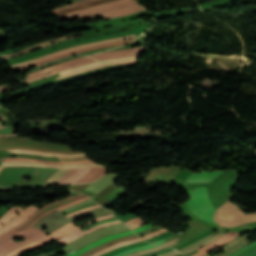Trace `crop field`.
<instances>
[{"instance_id":"1","label":"crop field","mask_w":256,"mask_h":256,"mask_svg":"<svg viewBox=\"0 0 256 256\" xmlns=\"http://www.w3.org/2000/svg\"><path fill=\"white\" fill-rule=\"evenodd\" d=\"M229 200L216 210L214 219L217 224L225 227H234L256 221V213L245 215L239 207L230 203Z\"/></svg>"},{"instance_id":"2","label":"crop field","mask_w":256,"mask_h":256,"mask_svg":"<svg viewBox=\"0 0 256 256\" xmlns=\"http://www.w3.org/2000/svg\"><path fill=\"white\" fill-rule=\"evenodd\" d=\"M188 192L192 199L186 202V204L192 213L215 224L213 220V211L215 208L209 202L206 187H199L194 191L188 190Z\"/></svg>"},{"instance_id":"3","label":"crop field","mask_w":256,"mask_h":256,"mask_svg":"<svg viewBox=\"0 0 256 256\" xmlns=\"http://www.w3.org/2000/svg\"><path fill=\"white\" fill-rule=\"evenodd\" d=\"M86 196L81 194L79 196H74V197H69V198H65L62 200H59L57 202L48 204L44 207H42L41 209H39L37 212H35L33 215H31L25 222H23L21 225L15 227L14 229H12L11 231L3 234L0 236V242H2L5 239H8L20 232H22L23 230L27 229L28 227L32 226L33 224H35L36 222H38L43 216L55 211V208L68 204L70 202L85 198Z\"/></svg>"},{"instance_id":"4","label":"crop field","mask_w":256,"mask_h":256,"mask_svg":"<svg viewBox=\"0 0 256 256\" xmlns=\"http://www.w3.org/2000/svg\"><path fill=\"white\" fill-rule=\"evenodd\" d=\"M111 217H114V216L110 215V216H105V217L93 219L91 221L86 222V224L80 226L79 228H81V227H83V226H85L87 224L93 223L95 221H98V220H101V219H105V218H111ZM73 223H75V221L69 223L68 225L63 226L62 228H60V229H58V230H56L54 232H52L46 238H44V239H42L40 241H37V242H33V243H31V244H29L27 246L21 247V248L15 250V251L9 253L7 256H15V255H17L19 253H22V252H25L27 250H30V249L36 248L38 246L44 245V244H46V243H48V242H50V241H52V240H54V239H56V238H58L60 236H63L65 234H67V233L73 231L74 229L78 228V227L73 226L72 225Z\"/></svg>"},{"instance_id":"5","label":"crop field","mask_w":256,"mask_h":256,"mask_svg":"<svg viewBox=\"0 0 256 256\" xmlns=\"http://www.w3.org/2000/svg\"><path fill=\"white\" fill-rule=\"evenodd\" d=\"M99 210H103V208L91 210V211L85 212L83 214L74 216V217L69 218V219L65 218L59 212L55 211L52 214L44 217L38 224L35 225V227L41 229V228L47 226V228H48L47 232L51 233L52 231H54V230L62 227L63 225L71 222V220H73L75 218H78V217L83 216L85 214L93 213V212H96V211H99Z\"/></svg>"},{"instance_id":"6","label":"crop field","mask_w":256,"mask_h":256,"mask_svg":"<svg viewBox=\"0 0 256 256\" xmlns=\"http://www.w3.org/2000/svg\"><path fill=\"white\" fill-rule=\"evenodd\" d=\"M149 27L150 26L139 28V29H135V30H131V31H126V32L114 33V34H110V35H106V36H102V37H98V38L87 39V40H83V41H79V42H75V43L66 44V45H63L61 47H58V48H55V49H51V50H48V51H45V52H42V53L30 56V57L24 58V59L8 62V65L20 63V62H23V61H26V60H29V59L41 56V55L49 53V52L57 51V50H60V49H63V48L69 47V46L77 45V44H82V43L92 42V41H96V40L113 38V37H117V36H121V35H126V34L136 33V32H140V31H145Z\"/></svg>"},{"instance_id":"7","label":"crop field","mask_w":256,"mask_h":256,"mask_svg":"<svg viewBox=\"0 0 256 256\" xmlns=\"http://www.w3.org/2000/svg\"><path fill=\"white\" fill-rule=\"evenodd\" d=\"M134 37H136L135 34L130 35V36H125V37H120V38H114V39H108V40H102V41L87 43V44H83V45H78V46L67 48V49H64V50H61V51L54 52L52 54H48V55H45V56H42V57H38V58L29 60V61H26V62H23V63H20V64L11 65L10 68L11 69L17 68V67H20V66H23V65H26V64H30V63H33V62H36V61H39V60H42V59H46V58H49V57L61 54V53L66 52V51L75 50V49H79V48H83V47H88V46H92V45H97V44H102V43H108V42H114V41L134 38Z\"/></svg>"},{"instance_id":"8","label":"crop field","mask_w":256,"mask_h":256,"mask_svg":"<svg viewBox=\"0 0 256 256\" xmlns=\"http://www.w3.org/2000/svg\"><path fill=\"white\" fill-rule=\"evenodd\" d=\"M2 166H34V167H53V168L104 167L103 165L97 164V163L83 164V165L56 166V165H46V164H38V163L23 162V161L2 162Z\"/></svg>"},{"instance_id":"9","label":"crop field","mask_w":256,"mask_h":256,"mask_svg":"<svg viewBox=\"0 0 256 256\" xmlns=\"http://www.w3.org/2000/svg\"><path fill=\"white\" fill-rule=\"evenodd\" d=\"M90 60H94V59L88 58V57H85V56L75 58L71 61H68V62H65V63H62V64H58V65H55V66H52V67H49V68H46V69H40L38 71L32 72L28 75V77L26 79H30V78H33V77H36V76H39V75H42V74H45V73H48V72H51V71H55V70H58V69H61V68H65V67H68V66H71V65H75V64L90 61Z\"/></svg>"},{"instance_id":"10","label":"crop field","mask_w":256,"mask_h":256,"mask_svg":"<svg viewBox=\"0 0 256 256\" xmlns=\"http://www.w3.org/2000/svg\"><path fill=\"white\" fill-rule=\"evenodd\" d=\"M39 208L34 206H29L26 209H24L20 214H18L15 218H13L11 221L6 223L4 226L0 228V234L8 231L9 229L17 226L21 222H23L27 217H29L31 214H33L36 210Z\"/></svg>"},{"instance_id":"11","label":"crop field","mask_w":256,"mask_h":256,"mask_svg":"<svg viewBox=\"0 0 256 256\" xmlns=\"http://www.w3.org/2000/svg\"><path fill=\"white\" fill-rule=\"evenodd\" d=\"M46 232L42 231V230H39L35 227H30L28 230L12 237L11 239L13 240L15 237H23L25 238L26 240L21 242V241H18L16 242L17 244L21 245V246H24L30 242H33V241H36L38 239H42L44 238L46 235H45ZM14 241V240H13Z\"/></svg>"},{"instance_id":"12","label":"crop field","mask_w":256,"mask_h":256,"mask_svg":"<svg viewBox=\"0 0 256 256\" xmlns=\"http://www.w3.org/2000/svg\"><path fill=\"white\" fill-rule=\"evenodd\" d=\"M119 221L108 222V223H105V224H102V225H98V226L90 228V229H88L84 232H82L80 229H76L74 232L69 233V234L59 238L57 241H55V243L65 245V244H67V243H69V242H71V241H73V240H75V239H77V238H79V237H81V236L99 228V227H104V226H108V225H111V224L120 223Z\"/></svg>"},{"instance_id":"13","label":"crop field","mask_w":256,"mask_h":256,"mask_svg":"<svg viewBox=\"0 0 256 256\" xmlns=\"http://www.w3.org/2000/svg\"><path fill=\"white\" fill-rule=\"evenodd\" d=\"M239 233H232V232H228L225 236L221 237L220 239L214 241L211 244H208L204 247H202L201 249H199L198 253L192 255V256H202L210 251H212L213 249L227 243L228 241H230L231 239H233L234 237H236Z\"/></svg>"},{"instance_id":"14","label":"crop field","mask_w":256,"mask_h":256,"mask_svg":"<svg viewBox=\"0 0 256 256\" xmlns=\"http://www.w3.org/2000/svg\"><path fill=\"white\" fill-rule=\"evenodd\" d=\"M247 237H249V235H245L242 238L237 237L234 240H232L231 242L227 243L225 246H223V247H221V248H219V249H217V250H215L211 253H216L217 251H220V250L224 249L223 250V252H224L223 255H221L220 252H219L215 256H228L231 253H233V252L237 251L238 249L242 248V243H243L244 239L247 238ZM211 253H209L205 256H210Z\"/></svg>"},{"instance_id":"15","label":"crop field","mask_w":256,"mask_h":256,"mask_svg":"<svg viewBox=\"0 0 256 256\" xmlns=\"http://www.w3.org/2000/svg\"><path fill=\"white\" fill-rule=\"evenodd\" d=\"M81 35H83L82 32L76 33V34H72V35H68V36L59 37V38H56V39H53V40H50V41L41 43V44H39V45L30 47V48H28V49L22 50V51H20V52H16V53H12V54L3 55V56L0 57V59L11 58V57H14V56L19 55V54H22V53L30 52V51L39 49V48L44 47V46H47V45H50V44H53V43H56V42H59V41L65 40V39H69V38L81 36Z\"/></svg>"},{"instance_id":"16","label":"crop field","mask_w":256,"mask_h":256,"mask_svg":"<svg viewBox=\"0 0 256 256\" xmlns=\"http://www.w3.org/2000/svg\"><path fill=\"white\" fill-rule=\"evenodd\" d=\"M119 178L117 175L109 174L106 175L105 177L95 181L92 183L90 186H88L85 191H90V192H95L98 193L101 191L104 187L108 186L109 184L113 183Z\"/></svg>"},{"instance_id":"17","label":"crop field","mask_w":256,"mask_h":256,"mask_svg":"<svg viewBox=\"0 0 256 256\" xmlns=\"http://www.w3.org/2000/svg\"><path fill=\"white\" fill-rule=\"evenodd\" d=\"M224 171H213V172H204L201 171L199 174L192 173V175L187 179V182H210L218 175Z\"/></svg>"},{"instance_id":"18","label":"crop field","mask_w":256,"mask_h":256,"mask_svg":"<svg viewBox=\"0 0 256 256\" xmlns=\"http://www.w3.org/2000/svg\"><path fill=\"white\" fill-rule=\"evenodd\" d=\"M145 51H146V47H135V48L122 49V50H115V51H110V52H103L100 54L91 55L90 57H94V58L98 59V58H103V57L136 53V52H145Z\"/></svg>"},{"instance_id":"19","label":"crop field","mask_w":256,"mask_h":256,"mask_svg":"<svg viewBox=\"0 0 256 256\" xmlns=\"http://www.w3.org/2000/svg\"><path fill=\"white\" fill-rule=\"evenodd\" d=\"M130 234H134V233L132 231H129V232H125V233H121V234H117V235H111V236L104 237V238H102V239H100V240H98V241H96V242H94V243H92V244H90L86 247L81 248L80 250H78V251H76V252H74V253H72L68 256H78L81 253H83V252H85V251H87V250H89V249H91V248H93V247H95V246H97L101 243H104L108 240L115 239V238L122 237V236H126V235H130Z\"/></svg>"},{"instance_id":"20","label":"crop field","mask_w":256,"mask_h":256,"mask_svg":"<svg viewBox=\"0 0 256 256\" xmlns=\"http://www.w3.org/2000/svg\"><path fill=\"white\" fill-rule=\"evenodd\" d=\"M106 172V168H92L87 174H85L83 177H81L79 180H77L75 183H84V182H90L93 181L102 175H104Z\"/></svg>"},{"instance_id":"21","label":"crop field","mask_w":256,"mask_h":256,"mask_svg":"<svg viewBox=\"0 0 256 256\" xmlns=\"http://www.w3.org/2000/svg\"><path fill=\"white\" fill-rule=\"evenodd\" d=\"M135 3H137L136 0H130V1H126V2H123V3H120V4H116V5L107 7V8L98 9V10H94V11H91V12L71 16V17L66 18V20H73V19L80 18V17H83V16H88V15H92V14H95V13H99V12H103V11H107V10H111V9H115V8H119V7H123V6H127V5H131V4H135Z\"/></svg>"},{"instance_id":"22","label":"crop field","mask_w":256,"mask_h":256,"mask_svg":"<svg viewBox=\"0 0 256 256\" xmlns=\"http://www.w3.org/2000/svg\"><path fill=\"white\" fill-rule=\"evenodd\" d=\"M11 160H24V161H33V162L57 164V165L83 164V163L93 162L91 160H82V161H73V162H51V161L33 160V159H24V158H4V159H2V161H11Z\"/></svg>"},{"instance_id":"23","label":"crop field","mask_w":256,"mask_h":256,"mask_svg":"<svg viewBox=\"0 0 256 256\" xmlns=\"http://www.w3.org/2000/svg\"><path fill=\"white\" fill-rule=\"evenodd\" d=\"M10 152L24 153V154H36V155H43V156H56V157H81V156H86V154L62 155V154L42 153V152H36V151H30V150H10Z\"/></svg>"},{"instance_id":"24","label":"crop field","mask_w":256,"mask_h":256,"mask_svg":"<svg viewBox=\"0 0 256 256\" xmlns=\"http://www.w3.org/2000/svg\"><path fill=\"white\" fill-rule=\"evenodd\" d=\"M21 246L15 244L12 240H6L0 244V256H5L7 253Z\"/></svg>"},{"instance_id":"25","label":"crop field","mask_w":256,"mask_h":256,"mask_svg":"<svg viewBox=\"0 0 256 256\" xmlns=\"http://www.w3.org/2000/svg\"><path fill=\"white\" fill-rule=\"evenodd\" d=\"M123 1H126V0H117V1L110 2V3L102 4V5H98V6H94V7H89V8L84 9V10H79V11L71 12V13L65 14V15H63V16H60L59 19L64 18V17L71 16V15H75V14L87 12V11H90V10H94V9H98V8L107 7V6H110V5L119 3V2H123Z\"/></svg>"},{"instance_id":"26","label":"crop field","mask_w":256,"mask_h":256,"mask_svg":"<svg viewBox=\"0 0 256 256\" xmlns=\"http://www.w3.org/2000/svg\"><path fill=\"white\" fill-rule=\"evenodd\" d=\"M110 1H113V0H98V1H94V2H89V3L81 5V6H77V7H73V8H69V9L57 12V13H55V15L59 16V15H62V14H65V13H68V12H71L74 10H78V9L89 7L91 5L106 3V2H110Z\"/></svg>"},{"instance_id":"27","label":"crop field","mask_w":256,"mask_h":256,"mask_svg":"<svg viewBox=\"0 0 256 256\" xmlns=\"http://www.w3.org/2000/svg\"><path fill=\"white\" fill-rule=\"evenodd\" d=\"M22 209L19 207H12L1 219H0V226L8 222L10 219L15 217Z\"/></svg>"},{"instance_id":"28","label":"crop field","mask_w":256,"mask_h":256,"mask_svg":"<svg viewBox=\"0 0 256 256\" xmlns=\"http://www.w3.org/2000/svg\"><path fill=\"white\" fill-rule=\"evenodd\" d=\"M137 241H141V239L137 238V239H133V240H129V241H125V242H121V243H118V244H114V245L108 246V247L100 250L99 252L91 255V256H99V255H102V254L108 252L109 250H111V249H113L115 247L126 245V244H130V243L137 242Z\"/></svg>"},{"instance_id":"29","label":"crop field","mask_w":256,"mask_h":256,"mask_svg":"<svg viewBox=\"0 0 256 256\" xmlns=\"http://www.w3.org/2000/svg\"><path fill=\"white\" fill-rule=\"evenodd\" d=\"M93 62H97V60L90 61V62H86V63H82V64H78V65L71 66V67H68V68H65V69H61V70H58V71H55V72H51V73H48V74L39 76V77H37V78L31 79V80H28V81H25V82L28 83V82L37 80V79H39V78H45V77H47V76L54 75V74H57V73H61V72L70 70V69H72V68L79 67V66H83V65H85V64H89V63H93Z\"/></svg>"},{"instance_id":"30","label":"crop field","mask_w":256,"mask_h":256,"mask_svg":"<svg viewBox=\"0 0 256 256\" xmlns=\"http://www.w3.org/2000/svg\"><path fill=\"white\" fill-rule=\"evenodd\" d=\"M140 10H143V8L138 7V8L122 11V12H119V13H116V14H113V15L105 16L104 19H112V18H116V17L128 15V14H132V13L138 12Z\"/></svg>"},{"instance_id":"31","label":"crop field","mask_w":256,"mask_h":256,"mask_svg":"<svg viewBox=\"0 0 256 256\" xmlns=\"http://www.w3.org/2000/svg\"><path fill=\"white\" fill-rule=\"evenodd\" d=\"M138 6H140L139 3H138V4H135V5H131V6H127V7H123V8H119V9H115V10H111V11H108V12H104V13H101V14H97V15H93V16H88V17H84V18L101 17V16H104V15L116 13V12H119V11H122V10L130 9V8H134V7H138Z\"/></svg>"},{"instance_id":"32","label":"crop field","mask_w":256,"mask_h":256,"mask_svg":"<svg viewBox=\"0 0 256 256\" xmlns=\"http://www.w3.org/2000/svg\"><path fill=\"white\" fill-rule=\"evenodd\" d=\"M66 170L58 169L55 174L43 185H52L55 181H57L64 173Z\"/></svg>"},{"instance_id":"33","label":"crop field","mask_w":256,"mask_h":256,"mask_svg":"<svg viewBox=\"0 0 256 256\" xmlns=\"http://www.w3.org/2000/svg\"><path fill=\"white\" fill-rule=\"evenodd\" d=\"M91 168H84L79 170L78 172L75 173V175L73 177H71L70 179H68L65 183L63 184H67V183H73L74 181H76L78 178H80L82 175H84L86 172H88Z\"/></svg>"},{"instance_id":"34","label":"crop field","mask_w":256,"mask_h":256,"mask_svg":"<svg viewBox=\"0 0 256 256\" xmlns=\"http://www.w3.org/2000/svg\"><path fill=\"white\" fill-rule=\"evenodd\" d=\"M79 169H69L63 177H61L54 185L62 184L64 181H66L68 178L74 175L76 171Z\"/></svg>"},{"instance_id":"35","label":"crop field","mask_w":256,"mask_h":256,"mask_svg":"<svg viewBox=\"0 0 256 256\" xmlns=\"http://www.w3.org/2000/svg\"><path fill=\"white\" fill-rule=\"evenodd\" d=\"M89 1H92V0H79V1H77L75 3H73V4H70V5H67V6L60 7V8H57L55 10H52L51 13H54V12H57V11H60V10H63V9L69 8V7L81 5V4L87 3Z\"/></svg>"},{"instance_id":"36","label":"crop field","mask_w":256,"mask_h":256,"mask_svg":"<svg viewBox=\"0 0 256 256\" xmlns=\"http://www.w3.org/2000/svg\"><path fill=\"white\" fill-rule=\"evenodd\" d=\"M160 249H164V248L156 247V248H152V249H147V250H143V251L134 252V253H131L127 256H140V255L147 254V253H150V252H154V251H157V250H160Z\"/></svg>"},{"instance_id":"37","label":"crop field","mask_w":256,"mask_h":256,"mask_svg":"<svg viewBox=\"0 0 256 256\" xmlns=\"http://www.w3.org/2000/svg\"><path fill=\"white\" fill-rule=\"evenodd\" d=\"M103 66H108L107 64H103V65H99V66H95V67H91V68H87V69H84V70H81V71H77V72H73V73H69V74H65L59 78H57L56 80L58 79H61V78H64V77H68V76H71V75H74V74H77V73H80V72H83V71H87V70H91V69H95V68H99V67H103Z\"/></svg>"},{"instance_id":"38","label":"crop field","mask_w":256,"mask_h":256,"mask_svg":"<svg viewBox=\"0 0 256 256\" xmlns=\"http://www.w3.org/2000/svg\"><path fill=\"white\" fill-rule=\"evenodd\" d=\"M145 15H148V13H146L145 11H142V12H138L136 14L125 16V17H122V18H123V20H129V19H134V18H138V17H141V16H145Z\"/></svg>"},{"instance_id":"39","label":"crop field","mask_w":256,"mask_h":256,"mask_svg":"<svg viewBox=\"0 0 256 256\" xmlns=\"http://www.w3.org/2000/svg\"><path fill=\"white\" fill-rule=\"evenodd\" d=\"M223 235H225V232H223V233L220 234L219 236H217V237H215V238H213V239H211V240H209V241H207V242H205V243H203V244H201V245H199V246H197V247L191 249L190 251L183 252V254L188 253V252H192V251H194V250H196V249H198V248H200V247H202V246H204V245H206V244H208V243H210V242H212V241H214V240L220 238V237L223 236Z\"/></svg>"},{"instance_id":"40","label":"crop field","mask_w":256,"mask_h":256,"mask_svg":"<svg viewBox=\"0 0 256 256\" xmlns=\"http://www.w3.org/2000/svg\"><path fill=\"white\" fill-rule=\"evenodd\" d=\"M114 220H117L116 218H112V219H106V220H103V221H99V222H96V223H93V224H90L88 226H85L83 228H81L82 231L92 227V226H95V225H98V224H101V223H105V222H108V221H114Z\"/></svg>"},{"instance_id":"41","label":"crop field","mask_w":256,"mask_h":256,"mask_svg":"<svg viewBox=\"0 0 256 256\" xmlns=\"http://www.w3.org/2000/svg\"><path fill=\"white\" fill-rule=\"evenodd\" d=\"M213 236H215L214 233L211 234V235H209V236H207V237H205V238H203V239L200 240L199 242L194 243V244H191V245H189V246H187V247H185V248H183V249H181V250H182V251L188 250V249L192 248L193 246H195V245H197V244H199V243H201V242H203V241H205V240H207V239H209V238H211V237H213Z\"/></svg>"},{"instance_id":"42","label":"crop field","mask_w":256,"mask_h":256,"mask_svg":"<svg viewBox=\"0 0 256 256\" xmlns=\"http://www.w3.org/2000/svg\"><path fill=\"white\" fill-rule=\"evenodd\" d=\"M158 229H160V228L157 227V226H155V227H153V228L146 229V230H144V231H142V232H139V233H137V235H138L139 237H141L142 235H146V234L151 233V232H154V231H156V230H158Z\"/></svg>"},{"instance_id":"43","label":"crop field","mask_w":256,"mask_h":256,"mask_svg":"<svg viewBox=\"0 0 256 256\" xmlns=\"http://www.w3.org/2000/svg\"><path fill=\"white\" fill-rule=\"evenodd\" d=\"M166 231H168V230L165 229V228H162L161 230H159V231H157V232H155V233H152V234L146 235V236H144V237H141V239L146 240V239H149V238H151V237H153V236H156V235H158V234H160V233H162V232H166Z\"/></svg>"},{"instance_id":"44","label":"crop field","mask_w":256,"mask_h":256,"mask_svg":"<svg viewBox=\"0 0 256 256\" xmlns=\"http://www.w3.org/2000/svg\"><path fill=\"white\" fill-rule=\"evenodd\" d=\"M254 245H256V241H254V242L251 243L250 245H248V246H246V247L240 249L239 251H237V252L231 254L230 256H235V255H237V254H239V253H241V252H243V251L249 249L250 247H252V246H254Z\"/></svg>"},{"instance_id":"45","label":"crop field","mask_w":256,"mask_h":256,"mask_svg":"<svg viewBox=\"0 0 256 256\" xmlns=\"http://www.w3.org/2000/svg\"><path fill=\"white\" fill-rule=\"evenodd\" d=\"M136 58H137V57H125V58L107 60V61H103V62H105V63H110V62H116V61H122V60H130V59H136Z\"/></svg>"},{"instance_id":"46","label":"crop field","mask_w":256,"mask_h":256,"mask_svg":"<svg viewBox=\"0 0 256 256\" xmlns=\"http://www.w3.org/2000/svg\"><path fill=\"white\" fill-rule=\"evenodd\" d=\"M99 64H103V63H102V62H98V63H93V64L85 65V66H83V67H80V68H77V69H74V70H70V71L61 73V75L65 74V73H68V72L75 71V70H79V69H81V68H87V67H91V66H95V65H99Z\"/></svg>"},{"instance_id":"47","label":"crop field","mask_w":256,"mask_h":256,"mask_svg":"<svg viewBox=\"0 0 256 256\" xmlns=\"http://www.w3.org/2000/svg\"><path fill=\"white\" fill-rule=\"evenodd\" d=\"M96 207H100V206L96 205V206H93V207L85 208V209H82V210H80L78 212H75V213H73L71 215H67V217L83 213L85 211L91 210V209L96 208Z\"/></svg>"},{"instance_id":"48","label":"crop field","mask_w":256,"mask_h":256,"mask_svg":"<svg viewBox=\"0 0 256 256\" xmlns=\"http://www.w3.org/2000/svg\"><path fill=\"white\" fill-rule=\"evenodd\" d=\"M177 240H178V238L173 239V240H171V241H169V242H167V243H164V244H162V245H160V246H162V247H169V246H172V245L176 244Z\"/></svg>"},{"instance_id":"49","label":"crop field","mask_w":256,"mask_h":256,"mask_svg":"<svg viewBox=\"0 0 256 256\" xmlns=\"http://www.w3.org/2000/svg\"><path fill=\"white\" fill-rule=\"evenodd\" d=\"M85 200H89V198L82 199V200H79V201L70 203V204H68V205H65V206H62V207H60V208H57V210L59 211V210H61V209H63V208H66V207H68V206H70V205H73V204H76V203H80V202H83V201H85Z\"/></svg>"},{"instance_id":"50","label":"crop field","mask_w":256,"mask_h":256,"mask_svg":"<svg viewBox=\"0 0 256 256\" xmlns=\"http://www.w3.org/2000/svg\"><path fill=\"white\" fill-rule=\"evenodd\" d=\"M91 201H92V200L85 201V202H83V203L73 205V206H71V207H69V208H67V209H65V210L60 211V212L63 213V212H65V211H67V210L73 209V208H75V207H78V206H80V205H83V204H85V203H87V202H91Z\"/></svg>"},{"instance_id":"51","label":"crop field","mask_w":256,"mask_h":256,"mask_svg":"<svg viewBox=\"0 0 256 256\" xmlns=\"http://www.w3.org/2000/svg\"><path fill=\"white\" fill-rule=\"evenodd\" d=\"M166 250H168V249L160 250V251H157V252H155V253H151V254L144 255V256H157V255H159V254L164 253Z\"/></svg>"},{"instance_id":"52","label":"crop field","mask_w":256,"mask_h":256,"mask_svg":"<svg viewBox=\"0 0 256 256\" xmlns=\"http://www.w3.org/2000/svg\"><path fill=\"white\" fill-rule=\"evenodd\" d=\"M149 227H151V226L149 224H147L145 226H141V227H138V228L134 229V232L137 233V232H139L143 229L149 228Z\"/></svg>"},{"instance_id":"53","label":"crop field","mask_w":256,"mask_h":256,"mask_svg":"<svg viewBox=\"0 0 256 256\" xmlns=\"http://www.w3.org/2000/svg\"><path fill=\"white\" fill-rule=\"evenodd\" d=\"M134 55H139V53L138 54H132V55H121V56L103 58V59H99V60L102 61V60H106V59H113V58H119V57H125V56H134Z\"/></svg>"},{"instance_id":"54","label":"crop field","mask_w":256,"mask_h":256,"mask_svg":"<svg viewBox=\"0 0 256 256\" xmlns=\"http://www.w3.org/2000/svg\"><path fill=\"white\" fill-rule=\"evenodd\" d=\"M177 255H179V253L177 251H172L169 254L162 255V256H177Z\"/></svg>"},{"instance_id":"55","label":"crop field","mask_w":256,"mask_h":256,"mask_svg":"<svg viewBox=\"0 0 256 256\" xmlns=\"http://www.w3.org/2000/svg\"><path fill=\"white\" fill-rule=\"evenodd\" d=\"M131 252H133V249L127 250V251H125V252H123V253H120V254H118V255H115V256H124V255H126V254H128V253H131Z\"/></svg>"},{"instance_id":"56","label":"crop field","mask_w":256,"mask_h":256,"mask_svg":"<svg viewBox=\"0 0 256 256\" xmlns=\"http://www.w3.org/2000/svg\"><path fill=\"white\" fill-rule=\"evenodd\" d=\"M135 61H137V60L122 61V62H116V63H111V64L131 63V62H135Z\"/></svg>"},{"instance_id":"57","label":"crop field","mask_w":256,"mask_h":256,"mask_svg":"<svg viewBox=\"0 0 256 256\" xmlns=\"http://www.w3.org/2000/svg\"><path fill=\"white\" fill-rule=\"evenodd\" d=\"M104 215H109L108 213H105V214H100V215H96V216H93V217H100V216H104Z\"/></svg>"},{"instance_id":"58","label":"crop field","mask_w":256,"mask_h":256,"mask_svg":"<svg viewBox=\"0 0 256 256\" xmlns=\"http://www.w3.org/2000/svg\"><path fill=\"white\" fill-rule=\"evenodd\" d=\"M10 88H11V86H10V87H7V88H4V89H1L0 92H1V91H5V90L10 89Z\"/></svg>"},{"instance_id":"59","label":"crop field","mask_w":256,"mask_h":256,"mask_svg":"<svg viewBox=\"0 0 256 256\" xmlns=\"http://www.w3.org/2000/svg\"><path fill=\"white\" fill-rule=\"evenodd\" d=\"M15 135H19V134H15ZM0 136H12V135H0Z\"/></svg>"},{"instance_id":"60","label":"crop field","mask_w":256,"mask_h":256,"mask_svg":"<svg viewBox=\"0 0 256 256\" xmlns=\"http://www.w3.org/2000/svg\"><path fill=\"white\" fill-rule=\"evenodd\" d=\"M0 128H6V126H0Z\"/></svg>"},{"instance_id":"61","label":"crop field","mask_w":256,"mask_h":256,"mask_svg":"<svg viewBox=\"0 0 256 256\" xmlns=\"http://www.w3.org/2000/svg\"><path fill=\"white\" fill-rule=\"evenodd\" d=\"M7 87V86H0V88Z\"/></svg>"},{"instance_id":"62","label":"crop field","mask_w":256,"mask_h":256,"mask_svg":"<svg viewBox=\"0 0 256 256\" xmlns=\"http://www.w3.org/2000/svg\"><path fill=\"white\" fill-rule=\"evenodd\" d=\"M111 213H112V214H115V212H114V211H111Z\"/></svg>"},{"instance_id":"63","label":"crop field","mask_w":256,"mask_h":256,"mask_svg":"<svg viewBox=\"0 0 256 256\" xmlns=\"http://www.w3.org/2000/svg\"><path fill=\"white\" fill-rule=\"evenodd\" d=\"M72 2H74V1H77V0H71Z\"/></svg>"},{"instance_id":"64","label":"crop field","mask_w":256,"mask_h":256,"mask_svg":"<svg viewBox=\"0 0 256 256\" xmlns=\"http://www.w3.org/2000/svg\"><path fill=\"white\" fill-rule=\"evenodd\" d=\"M0 119H5V118H0Z\"/></svg>"},{"instance_id":"65","label":"crop field","mask_w":256,"mask_h":256,"mask_svg":"<svg viewBox=\"0 0 256 256\" xmlns=\"http://www.w3.org/2000/svg\"><path fill=\"white\" fill-rule=\"evenodd\" d=\"M2 167H0V170H1Z\"/></svg>"},{"instance_id":"66","label":"crop field","mask_w":256,"mask_h":256,"mask_svg":"<svg viewBox=\"0 0 256 256\" xmlns=\"http://www.w3.org/2000/svg\"><path fill=\"white\" fill-rule=\"evenodd\" d=\"M0 117H2V116H0Z\"/></svg>"},{"instance_id":"67","label":"crop field","mask_w":256,"mask_h":256,"mask_svg":"<svg viewBox=\"0 0 256 256\" xmlns=\"http://www.w3.org/2000/svg\"><path fill=\"white\" fill-rule=\"evenodd\" d=\"M169 248H171V247H169Z\"/></svg>"}]
</instances>
